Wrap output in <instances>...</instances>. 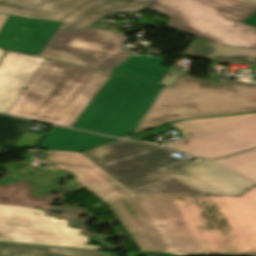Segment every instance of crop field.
Masks as SVG:
<instances>
[{
	"instance_id": "crop-field-9",
	"label": "crop field",
	"mask_w": 256,
	"mask_h": 256,
	"mask_svg": "<svg viewBox=\"0 0 256 256\" xmlns=\"http://www.w3.org/2000/svg\"><path fill=\"white\" fill-rule=\"evenodd\" d=\"M148 0H0V14L59 21L60 29H82L108 11H134Z\"/></svg>"
},
{
	"instance_id": "crop-field-4",
	"label": "crop field",
	"mask_w": 256,
	"mask_h": 256,
	"mask_svg": "<svg viewBox=\"0 0 256 256\" xmlns=\"http://www.w3.org/2000/svg\"><path fill=\"white\" fill-rule=\"evenodd\" d=\"M251 111H256V85L180 74L172 87L162 90L136 133L180 119Z\"/></svg>"
},
{
	"instance_id": "crop-field-26",
	"label": "crop field",
	"mask_w": 256,
	"mask_h": 256,
	"mask_svg": "<svg viewBox=\"0 0 256 256\" xmlns=\"http://www.w3.org/2000/svg\"><path fill=\"white\" fill-rule=\"evenodd\" d=\"M252 1L256 2V0H252Z\"/></svg>"
},
{
	"instance_id": "crop-field-22",
	"label": "crop field",
	"mask_w": 256,
	"mask_h": 256,
	"mask_svg": "<svg viewBox=\"0 0 256 256\" xmlns=\"http://www.w3.org/2000/svg\"><path fill=\"white\" fill-rule=\"evenodd\" d=\"M7 18L8 16L6 15H0V28L2 27Z\"/></svg>"
},
{
	"instance_id": "crop-field-25",
	"label": "crop field",
	"mask_w": 256,
	"mask_h": 256,
	"mask_svg": "<svg viewBox=\"0 0 256 256\" xmlns=\"http://www.w3.org/2000/svg\"><path fill=\"white\" fill-rule=\"evenodd\" d=\"M3 52H4V50H1V49H0V57H1V55H2Z\"/></svg>"
},
{
	"instance_id": "crop-field-24",
	"label": "crop field",
	"mask_w": 256,
	"mask_h": 256,
	"mask_svg": "<svg viewBox=\"0 0 256 256\" xmlns=\"http://www.w3.org/2000/svg\"><path fill=\"white\" fill-rule=\"evenodd\" d=\"M108 254V256H115L114 254L110 253V252H106Z\"/></svg>"
},
{
	"instance_id": "crop-field-3",
	"label": "crop field",
	"mask_w": 256,
	"mask_h": 256,
	"mask_svg": "<svg viewBox=\"0 0 256 256\" xmlns=\"http://www.w3.org/2000/svg\"><path fill=\"white\" fill-rule=\"evenodd\" d=\"M109 74L44 62L7 114L70 126Z\"/></svg>"
},
{
	"instance_id": "crop-field-7",
	"label": "crop field",
	"mask_w": 256,
	"mask_h": 256,
	"mask_svg": "<svg viewBox=\"0 0 256 256\" xmlns=\"http://www.w3.org/2000/svg\"><path fill=\"white\" fill-rule=\"evenodd\" d=\"M169 128L182 139L166 146L199 157H221L256 146V113L184 120L129 139L139 140Z\"/></svg>"
},
{
	"instance_id": "crop-field-5",
	"label": "crop field",
	"mask_w": 256,
	"mask_h": 256,
	"mask_svg": "<svg viewBox=\"0 0 256 256\" xmlns=\"http://www.w3.org/2000/svg\"><path fill=\"white\" fill-rule=\"evenodd\" d=\"M147 9L169 16V27L194 37L256 49V27L240 23L256 12L249 1L151 0Z\"/></svg>"
},
{
	"instance_id": "crop-field-13",
	"label": "crop field",
	"mask_w": 256,
	"mask_h": 256,
	"mask_svg": "<svg viewBox=\"0 0 256 256\" xmlns=\"http://www.w3.org/2000/svg\"><path fill=\"white\" fill-rule=\"evenodd\" d=\"M183 55L233 64L248 63L256 66L255 49L193 41ZM253 76L256 78V70L253 72Z\"/></svg>"
},
{
	"instance_id": "crop-field-12",
	"label": "crop field",
	"mask_w": 256,
	"mask_h": 256,
	"mask_svg": "<svg viewBox=\"0 0 256 256\" xmlns=\"http://www.w3.org/2000/svg\"><path fill=\"white\" fill-rule=\"evenodd\" d=\"M45 59L15 52L0 63V112L6 113Z\"/></svg>"
},
{
	"instance_id": "crop-field-23",
	"label": "crop field",
	"mask_w": 256,
	"mask_h": 256,
	"mask_svg": "<svg viewBox=\"0 0 256 256\" xmlns=\"http://www.w3.org/2000/svg\"><path fill=\"white\" fill-rule=\"evenodd\" d=\"M93 27H99V28H106V29H109V26L108 24H103V23H100L99 25H92Z\"/></svg>"
},
{
	"instance_id": "crop-field-6",
	"label": "crop field",
	"mask_w": 256,
	"mask_h": 256,
	"mask_svg": "<svg viewBox=\"0 0 256 256\" xmlns=\"http://www.w3.org/2000/svg\"><path fill=\"white\" fill-rule=\"evenodd\" d=\"M162 87L113 75L73 127L117 137L130 135Z\"/></svg>"
},
{
	"instance_id": "crop-field-1",
	"label": "crop field",
	"mask_w": 256,
	"mask_h": 256,
	"mask_svg": "<svg viewBox=\"0 0 256 256\" xmlns=\"http://www.w3.org/2000/svg\"><path fill=\"white\" fill-rule=\"evenodd\" d=\"M104 200L140 252L128 256H256V186L239 196L135 194L81 153L47 150Z\"/></svg>"
},
{
	"instance_id": "crop-field-14",
	"label": "crop field",
	"mask_w": 256,
	"mask_h": 256,
	"mask_svg": "<svg viewBox=\"0 0 256 256\" xmlns=\"http://www.w3.org/2000/svg\"><path fill=\"white\" fill-rule=\"evenodd\" d=\"M117 139L53 126L38 147L83 151Z\"/></svg>"
},
{
	"instance_id": "crop-field-16",
	"label": "crop field",
	"mask_w": 256,
	"mask_h": 256,
	"mask_svg": "<svg viewBox=\"0 0 256 256\" xmlns=\"http://www.w3.org/2000/svg\"><path fill=\"white\" fill-rule=\"evenodd\" d=\"M0 256H104L90 251L0 242Z\"/></svg>"
},
{
	"instance_id": "crop-field-15",
	"label": "crop field",
	"mask_w": 256,
	"mask_h": 256,
	"mask_svg": "<svg viewBox=\"0 0 256 256\" xmlns=\"http://www.w3.org/2000/svg\"><path fill=\"white\" fill-rule=\"evenodd\" d=\"M162 62L163 60L155 56L150 58L134 56L115 68L112 73L158 83L167 72V69L160 67Z\"/></svg>"
},
{
	"instance_id": "crop-field-11",
	"label": "crop field",
	"mask_w": 256,
	"mask_h": 256,
	"mask_svg": "<svg viewBox=\"0 0 256 256\" xmlns=\"http://www.w3.org/2000/svg\"><path fill=\"white\" fill-rule=\"evenodd\" d=\"M61 24L9 16L0 30V48L38 54Z\"/></svg>"
},
{
	"instance_id": "crop-field-17",
	"label": "crop field",
	"mask_w": 256,
	"mask_h": 256,
	"mask_svg": "<svg viewBox=\"0 0 256 256\" xmlns=\"http://www.w3.org/2000/svg\"><path fill=\"white\" fill-rule=\"evenodd\" d=\"M216 161L256 183V149Z\"/></svg>"
},
{
	"instance_id": "crop-field-19",
	"label": "crop field",
	"mask_w": 256,
	"mask_h": 256,
	"mask_svg": "<svg viewBox=\"0 0 256 256\" xmlns=\"http://www.w3.org/2000/svg\"><path fill=\"white\" fill-rule=\"evenodd\" d=\"M105 240H106V238H104L102 235L93 237V242L94 243H99V244H101L104 247L109 248V249H115L110 244L106 243Z\"/></svg>"
},
{
	"instance_id": "crop-field-27",
	"label": "crop field",
	"mask_w": 256,
	"mask_h": 256,
	"mask_svg": "<svg viewBox=\"0 0 256 256\" xmlns=\"http://www.w3.org/2000/svg\"><path fill=\"white\" fill-rule=\"evenodd\" d=\"M1 174V173H0Z\"/></svg>"
},
{
	"instance_id": "crop-field-21",
	"label": "crop field",
	"mask_w": 256,
	"mask_h": 256,
	"mask_svg": "<svg viewBox=\"0 0 256 256\" xmlns=\"http://www.w3.org/2000/svg\"><path fill=\"white\" fill-rule=\"evenodd\" d=\"M15 181L16 180H14V179L5 177L3 180L0 181V184L5 185V184L12 183V182H15Z\"/></svg>"
},
{
	"instance_id": "crop-field-20",
	"label": "crop field",
	"mask_w": 256,
	"mask_h": 256,
	"mask_svg": "<svg viewBox=\"0 0 256 256\" xmlns=\"http://www.w3.org/2000/svg\"><path fill=\"white\" fill-rule=\"evenodd\" d=\"M242 23H246L252 26H256V13L248 17L246 20H244Z\"/></svg>"
},
{
	"instance_id": "crop-field-18",
	"label": "crop field",
	"mask_w": 256,
	"mask_h": 256,
	"mask_svg": "<svg viewBox=\"0 0 256 256\" xmlns=\"http://www.w3.org/2000/svg\"><path fill=\"white\" fill-rule=\"evenodd\" d=\"M30 121L0 115V143L13 146Z\"/></svg>"
},
{
	"instance_id": "crop-field-8",
	"label": "crop field",
	"mask_w": 256,
	"mask_h": 256,
	"mask_svg": "<svg viewBox=\"0 0 256 256\" xmlns=\"http://www.w3.org/2000/svg\"><path fill=\"white\" fill-rule=\"evenodd\" d=\"M126 40L113 31L94 28L60 31L41 56L108 72L132 55L123 47Z\"/></svg>"
},
{
	"instance_id": "crop-field-2",
	"label": "crop field",
	"mask_w": 256,
	"mask_h": 256,
	"mask_svg": "<svg viewBox=\"0 0 256 256\" xmlns=\"http://www.w3.org/2000/svg\"><path fill=\"white\" fill-rule=\"evenodd\" d=\"M172 151L119 140L82 154L135 193L238 195L256 185L212 160L189 164Z\"/></svg>"
},
{
	"instance_id": "crop-field-10",
	"label": "crop field",
	"mask_w": 256,
	"mask_h": 256,
	"mask_svg": "<svg viewBox=\"0 0 256 256\" xmlns=\"http://www.w3.org/2000/svg\"><path fill=\"white\" fill-rule=\"evenodd\" d=\"M81 230L67 226V220L47 217L41 210L0 205V240L59 245L92 250Z\"/></svg>"
}]
</instances>
